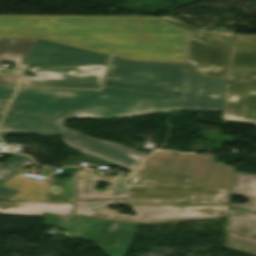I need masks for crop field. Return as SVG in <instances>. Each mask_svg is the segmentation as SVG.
Instances as JSON below:
<instances>
[{
  "instance_id": "obj_1",
  "label": "crop field",
  "mask_w": 256,
  "mask_h": 256,
  "mask_svg": "<svg viewBox=\"0 0 256 256\" xmlns=\"http://www.w3.org/2000/svg\"><path fill=\"white\" fill-rule=\"evenodd\" d=\"M187 36L157 17L0 15V37H38L130 60L184 63Z\"/></svg>"
},
{
  "instance_id": "obj_2",
  "label": "crop field",
  "mask_w": 256,
  "mask_h": 256,
  "mask_svg": "<svg viewBox=\"0 0 256 256\" xmlns=\"http://www.w3.org/2000/svg\"><path fill=\"white\" fill-rule=\"evenodd\" d=\"M178 96L103 87L102 90L19 87L1 132L60 135L63 118L126 117L176 110Z\"/></svg>"
},
{
  "instance_id": "obj_3",
  "label": "crop field",
  "mask_w": 256,
  "mask_h": 256,
  "mask_svg": "<svg viewBox=\"0 0 256 256\" xmlns=\"http://www.w3.org/2000/svg\"><path fill=\"white\" fill-rule=\"evenodd\" d=\"M129 179L81 170L74 176L76 200L124 198L127 204H229L231 191L228 190L145 179L141 184H127ZM96 181L111 184L106 190H95Z\"/></svg>"
},
{
  "instance_id": "obj_4",
  "label": "crop field",
  "mask_w": 256,
  "mask_h": 256,
  "mask_svg": "<svg viewBox=\"0 0 256 256\" xmlns=\"http://www.w3.org/2000/svg\"><path fill=\"white\" fill-rule=\"evenodd\" d=\"M122 200L79 201L73 214L141 224L227 217V205H131L135 216L107 209L108 204H123Z\"/></svg>"
},
{
  "instance_id": "obj_5",
  "label": "crop field",
  "mask_w": 256,
  "mask_h": 256,
  "mask_svg": "<svg viewBox=\"0 0 256 256\" xmlns=\"http://www.w3.org/2000/svg\"><path fill=\"white\" fill-rule=\"evenodd\" d=\"M112 80L103 86L173 95L179 92L182 64L129 62L112 57Z\"/></svg>"
},
{
  "instance_id": "obj_6",
  "label": "crop field",
  "mask_w": 256,
  "mask_h": 256,
  "mask_svg": "<svg viewBox=\"0 0 256 256\" xmlns=\"http://www.w3.org/2000/svg\"><path fill=\"white\" fill-rule=\"evenodd\" d=\"M189 31L185 63L201 75L226 80L233 36L198 31L171 17H159Z\"/></svg>"
},
{
  "instance_id": "obj_7",
  "label": "crop field",
  "mask_w": 256,
  "mask_h": 256,
  "mask_svg": "<svg viewBox=\"0 0 256 256\" xmlns=\"http://www.w3.org/2000/svg\"><path fill=\"white\" fill-rule=\"evenodd\" d=\"M211 154L188 155L159 151L145 163L193 176L189 184L204 185L231 190L234 169L224 163L214 162Z\"/></svg>"
},
{
  "instance_id": "obj_8",
  "label": "crop field",
  "mask_w": 256,
  "mask_h": 256,
  "mask_svg": "<svg viewBox=\"0 0 256 256\" xmlns=\"http://www.w3.org/2000/svg\"><path fill=\"white\" fill-rule=\"evenodd\" d=\"M107 66L31 67L21 84L99 88Z\"/></svg>"
},
{
  "instance_id": "obj_9",
  "label": "crop field",
  "mask_w": 256,
  "mask_h": 256,
  "mask_svg": "<svg viewBox=\"0 0 256 256\" xmlns=\"http://www.w3.org/2000/svg\"><path fill=\"white\" fill-rule=\"evenodd\" d=\"M224 89L225 82L201 77L185 67L177 109L220 111Z\"/></svg>"
},
{
  "instance_id": "obj_10",
  "label": "crop field",
  "mask_w": 256,
  "mask_h": 256,
  "mask_svg": "<svg viewBox=\"0 0 256 256\" xmlns=\"http://www.w3.org/2000/svg\"><path fill=\"white\" fill-rule=\"evenodd\" d=\"M61 139L70 147L80 151L87 150L95 156L112 164L133 170L147 154L126 148L114 142L97 140L88 135L64 127ZM95 157V158H96Z\"/></svg>"
},
{
  "instance_id": "obj_11",
  "label": "crop field",
  "mask_w": 256,
  "mask_h": 256,
  "mask_svg": "<svg viewBox=\"0 0 256 256\" xmlns=\"http://www.w3.org/2000/svg\"><path fill=\"white\" fill-rule=\"evenodd\" d=\"M109 57L37 39L24 63L31 66L107 65Z\"/></svg>"
},
{
  "instance_id": "obj_12",
  "label": "crop field",
  "mask_w": 256,
  "mask_h": 256,
  "mask_svg": "<svg viewBox=\"0 0 256 256\" xmlns=\"http://www.w3.org/2000/svg\"><path fill=\"white\" fill-rule=\"evenodd\" d=\"M222 119L256 123V76L227 83Z\"/></svg>"
},
{
  "instance_id": "obj_13",
  "label": "crop field",
  "mask_w": 256,
  "mask_h": 256,
  "mask_svg": "<svg viewBox=\"0 0 256 256\" xmlns=\"http://www.w3.org/2000/svg\"><path fill=\"white\" fill-rule=\"evenodd\" d=\"M224 246L256 254V213L230 208Z\"/></svg>"
},
{
  "instance_id": "obj_14",
  "label": "crop field",
  "mask_w": 256,
  "mask_h": 256,
  "mask_svg": "<svg viewBox=\"0 0 256 256\" xmlns=\"http://www.w3.org/2000/svg\"><path fill=\"white\" fill-rule=\"evenodd\" d=\"M256 74V37L234 36L227 80Z\"/></svg>"
},
{
  "instance_id": "obj_15",
  "label": "crop field",
  "mask_w": 256,
  "mask_h": 256,
  "mask_svg": "<svg viewBox=\"0 0 256 256\" xmlns=\"http://www.w3.org/2000/svg\"><path fill=\"white\" fill-rule=\"evenodd\" d=\"M73 208L71 203H35L0 201V214L43 216L44 212L66 216Z\"/></svg>"
},
{
  "instance_id": "obj_16",
  "label": "crop field",
  "mask_w": 256,
  "mask_h": 256,
  "mask_svg": "<svg viewBox=\"0 0 256 256\" xmlns=\"http://www.w3.org/2000/svg\"><path fill=\"white\" fill-rule=\"evenodd\" d=\"M25 172H32V170L24 169L1 184L18 191L6 200L46 201L49 182L29 180L23 176Z\"/></svg>"
},
{
  "instance_id": "obj_17",
  "label": "crop field",
  "mask_w": 256,
  "mask_h": 256,
  "mask_svg": "<svg viewBox=\"0 0 256 256\" xmlns=\"http://www.w3.org/2000/svg\"><path fill=\"white\" fill-rule=\"evenodd\" d=\"M36 39H0V60L16 63L13 71L24 74L28 65L21 64Z\"/></svg>"
},
{
  "instance_id": "obj_18",
  "label": "crop field",
  "mask_w": 256,
  "mask_h": 256,
  "mask_svg": "<svg viewBox=\"0 0 256 256\" xmlns=\"http://www.w3.org/2000/svg\"><path fill=\"white\" fill-rule=\"evenodd\" d=\"M232 194L249 198L247 203L230 204V207L256 212V174L235 172Z\"/></svg>"
},
{
  "instance_id": "obj_19",
  "label": "crop field",
  "mask_w": 256,
  "mask_h": 256,
  "mask_svg": "<svg viewBox=\"0 0 256 256\" xmlns=\"http://www.w3.org/2000/svg\"><path fill=\"white\" fill-rule=\"evenodd\" d=\"M152 180H160L175 183H189L191 176L175 173L172 171L160 169L143 163L141 167L133 174Z\"/></svg>"
},
{
  "instance_id": "obj_20",
  "label": "crop field",
  "mask_w": 256,
  "mask_h": 256,
  "mask_svg": "<svg viewBox=\"0 0 256 256\" xmlns=\"http://www.w3.org/2000/svg\"><path fill=\"white\" fill-rule=\"evenodd\" d=\"M28 159L23 155H16L4 163L0 164V183L10 178L11 176L17 174L21 170L14 168L15 165L21 163L22 161ZM17 193L14 190L8 189L0 185V198L5 200L7 197Z\"/></svg>"
},
{
  "instance_id": "obj_21",
  "label": "crop field",
  "mask_w": 256,
  "mask_h": 256,
  "mask_svg": "<svg viewBox=\"0 0 256 256\" xmlns=\"http://www.w3.org/2000/svg\"><path fill=\"white\" fill-rule=\"evenodd\" d=\"M22 76L15 73L0 74V83L2 84H18Z\"/></svg>"
},
{
  "instance_id": "obj_22",
  "label": "crop field",
  "mask_w": 256,
  "mask_h": 256,
  "mask_svg": "<svg viewBox=\"0 0 256 256\" xmlns=\"http://www.w3.org/2000/svg\"><path fill=\"white\" fill-rule=\"evenodd\" d=\"M16 86L0 85V99L10 100Z\"/></svg>"
},
{
  "instance_id": "obj_23",
  "label": "crop field",
  "mask_w": 256,
  "mask_h": 256,
  "mask_svg": "<svg viewBox=\"0 0 256 256\" xmlns=\"http://www.w3.org/2000/svg\"><path fill=\"white\" fill-rule=\"evenodd\" d=\"M8 102L0 101V118Z\"/></svg>"
},
{
  "instance_id": "obj_24",
  "label": "crop field",
  "mask_w": 256,
  "mask_h": 256,
  "mask_svg": "<svg viewBox=\"0 0 256 256\" xmlns=\"http://www.w3.org/2000/svg\"><path fill=\"white\" fill-rule=\"evenodd\" d=\"M84 153H87L88 156L91 157V158H93V159H96V160H99V161H103V160H100V159H98V158L93 157L94 155L91 154V153H89V152H87V151H84ZM103 162H105V161H103ZM106 163H108V162H106ZM109 164H110V163H109ZM114 166H115V165H114ZM117 167H119V166H117ZM120 168H123V167H120ZM123 169H125V168H123ZM126 170H127V169H126Z\"/></svg>"
}]
</instances>
